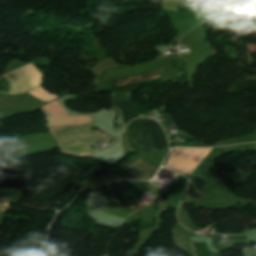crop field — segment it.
Returning <instances> with one entry per match:
<instances>
[{
    "label": "crop field",
    "instance_id": "8a807250",
    "mask_svg": "<svg viewBox=\"0 0 256 256\" xmlns=\"http://www.w3.org/2000/svg\"><path fill=\"white\" fill-rule=\"evenodd\" d=\"M124 132L129 143L126 152L142 150L151 153L167 146L166 136L161 126L151 119L132 120Z\"/></svg>",
    "mask_w": 256,
    "mask_h": 256
},
{
    "label": "crop field",
    "instance_id": "ac0d7876",
    "mask_svg": "<svg viewBox=\"0 0 256 256\" xmlns=\"http://www.w3.org/2000/svg\"><path fill=\"white\" fill-rule=\"evenodd\" d=\"M123 170L125 171L128 179L149 180L157 172L158 167L139 157Z\"/></svg>",
    "mask_w": 256,
    "mask_h": 256
},
{
    "label": "crop field",
    "instance_id": "e52e79f7",
    "mask_svg": "<svg viewBox=\"0 0 256 256\" xmlns=\"http://www.w3.org/2000/svg\"><path fill=\"white\" fill-rule=\"evenodd\" d=\"M190 245L189 244H177L178 247L186 250L190 254V256H193L194 249H193V247L191 245V247L193 249V252H192V249H191ZM194 256H196L195 253H194Z\"/></svg>",
    "mask_w": 256,
    "mask_h": 256
},
{
    "label": "crop field",
    "instance_id": "f4fd0767",
    "mask_svg": "<svg viewBox=\"0 0 256 256\" xmlns=\"http://www.w3.org/2000/svg\"><path fill=\"white\" fill-rule=\"evenodd\" d=\"M118 185L126 194L130 195L136 201V203L145 194L142 190H140L135 185H131V184H118Z\"/></svg>",
    "mask_w": 256,
    "mask_h": 256
},
{
    "label": "crop field",
    "instance_id": "412701ff",
    "mask_svg": "<svg viewBox=\"0 0 256 256\" xmlns=\"http://www.w3.org/2000/svg\"><path fill=\"white\" fill-rule=\"evenodd\" d=\"M163 68L137 74V75H132V76H126V77H120V78H114L113 83L115 86L117 85H123V84H128V83H133V82H139V81H144L148 79H153L157 78L160 76Z\"/></svg>",
    "mask_w": 256,
    "mask_h": 256
},
{
    "label": "crop field",
    "instance_id": "34b2d1b8",
    "mask_svg": "<svg viewBox=\"0 0 256 256\" xmlns=\"http://www.w3.org/2000/svg\"><path fill=\"white\" fill-rule=\"evenodd\" d=\"M130 99L131 93L112 92V103L115 105L119 114L125 119L126 122L140 116L136 110L135 104Z\"/></svg>",
    "mask_w": 256,
    "mask_h": 256
},
{
    "label": "crop field",
    "instance_id": "dd49c442",
    "mask_svg": "<svg viewBox=\"0 0 256 256\" xmlns=\"http://www.w3.org/2000/svg\"><path fill=\"white\" fill-rule=\"evenodd\" d=\"M216 1H220V0H188L184 4L176 5L175 9L176 11H181L192 6L207 4V3L216 2Z\"/></svg>",
    "mask_w": 256,
    "mask_h": 256
},
{
    "label": "crop field",
    "instance_id": "d8731c3e",
    "mask_svg": "<svg viewBox=\"0 0 256 256\" xmlns=\"http://www.w3.org/2000/svg\"><path fill=\"white\" fill-rule=\"evenodd\" d=\"M172 151H173V150H172ZM172 151L170 152V154H169V155H168V157L166 158V160H165V162H164V164H163V167L165 166V164H166L167 160L169 159V157H170V155H171Z\"/></svg>",
    "mask_w": 256,
    "mask_h": 256
}]
</instances>
